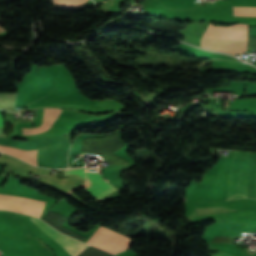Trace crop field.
Returning a JSON list of instances; mask_svg holds the SVG:
<instances>
[{
    "label": "crop field",
    "mask_w": 256,
    "mask_h": 256,
    "mask_svg": "<svg viewBox=\"0 0 256 256\" xmlns=\"http://www.w3.org/2000/svg\"><path fill=\"white\" fill-rule=\"evenodd\" d=\"M88 0H53L55 7L73 9L82 7Z\"/></svg>",
    "instance_id": "9"
},
{
    "label": "crop field",
    "mask_w": 256,
    "mask_h": 256,
    "mask_svg": "<svg viewBox=\"0 0 256 256\" xmlns=\"http://www.w3.org/2000/svg\"><path fill=\"white\" fill-rule=\"evenodd\" d=\"M93 237L101 239L103 241L109 242L111 244H114L116 246L122 247L124 249L128 248L131 245V242L126 241L124 239H121L119 237H116L114 235H111L109 233H106L104 231H101L99 229H97V231L94 233ZM91 237L87 244L93 245L95 247L101 248L107 252H111V253H117V252H121L124 249L116 247L114 245L108 244L106 242H103L101 240L95 239Z\"/></svg>",
    "instance_id": "6"
},
{
    "label": "crop field",
    "mask_w": 256,
    "mask_h": 256,
    "mask_svg": "<svg viewBox=\"0 0 256 256\" xmlns=\"http://www.w3.org/2000/svg\"><path fill=\"white\" fill-rule=\"evenodd\" d=\"M47 201L0 190V209L40 217Z\"/></svg>",
    "instance_id": "3"
},
{
    "label": "crop field",
    "mask_w": 256,
    "mask_h": 256,
    "mask_svg": "<svg viewBox=\"0 0 256 256\" xmlns=\"http://www.w3.org/2000/svg\"><path fill=\"white\" fill-rule=\"evenodd\" d=\"M64 174H76L81 176L85 182L87 192L91 194L96 200H100L108 193L116 190V188L112 187L109 183L101 178L98 170H69L65 171Z\"/></svg>",
    "instance_id": "4"
},
{
    "label": "crop field",
    "mask_w": 256,
    "mask_h": 256,
    "mask_svg": "<svg viewBox=\"0 0 256 256\" xmlns=\"http://www.w3.org/2000/svg\"><path fill=\"white\" fill-rule=\"evenodd\" d=\"M0 127H4V120L2 114H0Z\"/></svg>",
    "instance_id": "12"
},
{
    "label": "crop field",
    "mask_w": 256,
    "mask_h": 256,
    "mask_svg": "<svg viewBox=\"0 0 256 256\" xmlns=\"http://www.w3.org/2000/svg\"><path fill=\"white\" fill-rule=\"evenodd\" d=\"M201 45L205 49L239 55L243 50H247L248 25L235 24L230 27H219L210 23L201 39Z\"/></svg>",
    "instance_id": "1"
},
{
    "label": "crop field",
    "mask_w": 256,
    "mask_h": 256,
    "mask_svg": "<svg viewBox=\"0 0 256 256\" xmlns=\"http://www.w3.org/2000/svg\"><path fill=\"white\" fill-rule=\"evenodd\" d=\"M233 237H216L212 242H228L231 243Z\"/></svg>",
    "instance_id": "11"
},
{
    "label": "crop field",
    "mask_w": 256,
    "mask_h": 256,
    "mask_svg": "<svg viewBox=\"0 0 256 256\" xmlns=\"http://www.w3.org/2000/svg\"><path fill=\"white\" fill-rule=\"evenodd\" d=\"M5 32L3 28L0 27V33Z\"/></svg>",
    "instance_id": "13"
},
{
    "label": "crop field",
    "mask_w": 256,
    "mask_h": 256,
    "mask_svg": "<svg viewBox=\"0 0 256 256\" xmlns=\"http://www.w3.org/2000/svg\"><path fill=\"white\" fill-rule=\"evenodd\" d=\"M250 156L251 152L236 151L227 200L246 197Z\"/></svg>",
    "instance_id": "2"
},
{
    "label": "crop field",
    "mask_w": 256,
    "mask_h": 256,
    "mask_svg": "<svg viewBox=\"0 0 256 256\" xmlns=\"http://www.w3.org/2000/svg\"><path fill=\"white\" fill-rule=\"evenodd\" d=\"M61 113L59 109L45 108L43 125L39 128L25 129V133H45L50 131Z\"/></svg>",
    "instance_id": "7"
},
{
    "label": "crop field",
    "mask_w": 256,
    "mask_h": 256,
    "mask_svg": "<svg viewBox=\"0 0 256 256\" xmlns=\"http://www.w3.org/2000/svg\"><path fill=\"white\" fill-rule=\"evenodd\" d=\"M30 220L36 223L44 233H46L48 236L53 238L56 242L60 240L62 237H64V235L57 233L56 231H54L55 229L53 230L41 220L33 217L30 218ZM57 243L61 245L72 256H77L80 252H82L88 246L79 241L71 239L67 236L62 238Z\"/></svg>",
    "instance_id": "5"
},
{
    "label": "crop field",
    "mask_w": 256,
    "mask_h": 256,
    "mask_svg": "<svg viewBox=\"0 0 256 256\" xmlns=\"http://www.w3.org/2000/svg\"><path fill=\"white\" fill-rule=\"evenodd\" d=\"M0 150L3 152H6L8 154L14 155L16 157H19V158L37 166V164H36V151L37 150L22 151V150H18L16 148L7 147V146H3V145H0Z\"/></svg>",
    "instance_id": "8"
},
{
    "label": "crop field",
    "mask_w": 256,
    "mask_h": 256,
    "mask_svg": "<svg viewBox=\"0 0 256 256\" xmlns=\"http://www.w3.org/2000/svg\"><path fill=\"white\" fill-rule=\"evenodd\" d=\"M234 16H256V6L233 7Z\"/></svg>",
    "instance_id": "10"
}]
</instances>
